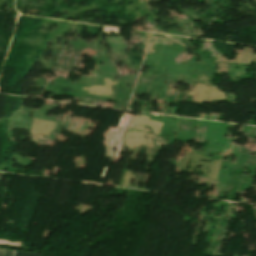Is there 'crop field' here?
Instances as JSON below:
<instances>
[{"label": "crop field", "mask_w": 256, "mask_h": 256, "mask_svg": "<svg viewBox=\"0 0 256 256\" xmlns=\"http://www.w3.org/2000/svg\"><path fill=\"white\" fill-rule=\"evenodd\" d=\"M15 256H40V255L16 252Z\"/></svg>", "instance_id": "8a807250"}, {"label": "crop field", "mask_w": 256, "mask_h": 256, "mask_svg": "<svg viewBox=\"0 0 256 256\" xmlns=\"http://www.w3.org/2000/svg\"><path fill=\"white\" fill-rule=\"evenodd\" d=\"M13 252L0 250V256H12Z\"/></svg>", "instance_id": "ac0d7876"}]
</instances>
